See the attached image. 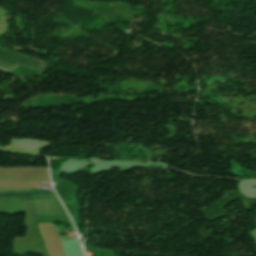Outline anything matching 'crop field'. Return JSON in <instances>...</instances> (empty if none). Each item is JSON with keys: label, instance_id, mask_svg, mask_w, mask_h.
Segmentation results:
<instances>
[{"label": "crop field", "instance_id": "1", "mask_svg": "<svg viewBox=\"0 0 256 256\" xmlns=\"http://www.w3.org/2000/svg\"><path fill=\"white\" fill-rule=\"evenodd\" d=\"M20 65L31 67L41 71H44V69L47 67V65L39 63L30 57L22 56L19 53L11 52L6 49H0L1 71L7 72Z\"/></svg>", "mask_w": 256, "mask_h": 256}, {"label": "crop field", "instance_id": "2", "mask_svg": "<svg viewBox=\"0 0 256 256\" xmlns=\"http://www.w3.org/2000/svg\"><path fill=\"white\" fill-rule=\"evenodd\" d=\"M48 193H35V194H13V195H0V196H19V195H49ZM44 199H54L52 195L49 196H31V197H2L0 201H21V200H44Z\"/></svg>", "mask_w": 256, "mask_h": 256}]
</instances>
